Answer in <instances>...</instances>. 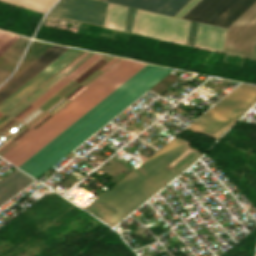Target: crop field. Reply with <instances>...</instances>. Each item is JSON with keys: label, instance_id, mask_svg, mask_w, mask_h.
<instances>
[{"label": "crop field", "instance_id": "crop-field-1", "mask_svg": "<svg viewBox=\"0 0 256 256\" xmlns=\"http://www.w3.org/2000/svg\"><path fill=\"white\" fill-rule=\"evenodd\" d=\"M171 71L147 64L18 168L37 179Z\"/></svg>", "mask_w": 256, "mask_h": 256}, {"label": "crop field", "instance_id": "crop-field-2", "mask_svg": "<svg viewBox=\"0 0 256 256\" xmlns=\"http://www.w3.org/2000/svg\"><path fill=\"white\" fill-rule=\"evenodd\" d=\"M190 145V142L173 138L135 171L129 174L121 182L115 185L107 193L99 199L92 202L84 210L99 218L110 226H113L123 217L129 214L137 206L170 182L178 174L193 164L200 156L196 155V159H191L181 168V171H173L166 166L179 156ZM191 147L185 150L177 157L168 167L174 166L182 158L193 151ZM115 226V225H114Z\"/></svg>", "mask_w": 256, "mask_h": 256}, {"label": "crop field", "instance_id": "crop-field-3", "mask_svg": "<svg viewBox=\"0 0 256 256\" xmlns=\"http://www.w3.org/2000/svg\"><path fill=\"white\" fill-rule=\"evenodd\" d=\"M144 65L124 59L2 157L18 167Z\"/></svg>", "mask_w": 256, "mask_h": 256}, {"label": "crop field", "instance_id": "crop-field-4", "mask_svg": "<svg viewBox=\"0 0 256 256\" xmlns=\"http://www.w3.org/2000/svg\"><path fill=\"white\" fill-rule=\"evenodd\" d=\"M88 56H90V54L88 53H84L82 54L79 58H77L74 62H72L69 66H67L64 70H62L63 73H67L69 72L71 69H73L75 66H77L80 62H82L84 59H86ZM99 57H97L96 55H92L90 56L86 61H84L81 65H79L76 69H74L70 74H68V76L70 77H74L76 76L78 73H80L83 69H85L87 66H89L92 62H94L96 59H98ZM101 59H99L98 61H100ZM98 61H96L93 65H95ZM119 61H121L120 59H116L113 58L112 60H110L108 63H106L103 67V69L105 70H109L111 69L114 65H116ZM103 62V60L101 61ZM101 62H99L97 65H95L92 69H90L93 65H91L88 69H90L88 72H86L88 69H86L82 74H85L83 76H81L82 74H80L77 78H75V80L77 79V81H79L80 79H82L85 75H87L91 70H93L96 66H98ZM105 62V61H104ZM103 62V63H104ZM102 64V63H101ZM100 64V65H101ZM99 65V66H100ZM97 68V67H96ZM95 68V69H96ZM94 69V70H95ZM61 72V73H62ZM91 73V72H90ZM106 72L102 71V70H98L96 71L92 76H90L86 81H84L82 84H84L85 86H89L91 85L94 81H96L98 78H100L103 74H105ZM86 77V76H85ZM86 79V78H85ZM68 81H70V79L68 78H63L61 81H59L58 83H56L55 85H53L50 89L53 91H57L59 90L62 86H64ZM82 82V81H81ZM77 85V83L71 81L68 85H66L61 91L58 92V94L60 95H64L66 94L68 91H70L73 87H75ZM86 88L82 87V86H78L76 87L73 91H71L67 96H65L64 98L68 99V100H72L73 98H75L78 94H80L83 90H85ZM51 95H53V93L51 92H47L45 93L42 97H40L36 102H34V104L36 105H40L42 104L45 100H47ZM60 97L54 95L53 97H51L48 101H46L43 105H41L40 107H42L43 109H47L49 108L52 104H54L57 100H59ZM68 102L64 99H62L61 101H59L56 105H54L50 110H48L51 113H56L59 109H61L64 105H66ZM35 108L34 105H30L28 106L25 110H23L19 115H17L16 117L19 118L20 120L22 118H24L26 115H28L30 112H32ZM44 111L40 110V109H36L34 110L31 114H29L25 119H23V121H25L26 123H30L31 121H33L35 118H37L40 114H42ZM50 116V114L48 113H44L42 114L39 118H37L33 123H31L30 125L34 126V127H38L40 124H42L45 120H47ZM13 117L9 116V115H5L4 117H2L0 119V127L2 125H4L6 122H8L10 119H12ZM19 120L17 119H13L11 120L8 124H6L2 129H0V131L2 132H6L7 130H9L15 123H17ZM22 122H20L19 124L16 125V127L18 125H20ZM26 125L23 124L22 126H20L19 128H23ZM34 129L31 127H27L25 128L22 132H20L16 137H14L13 139L20 141L21 139H23L26 135H28L31 131H33ZM17 132H19V130L15 131L14 133L16 134ZM16 143L14 141H9L7 144H5L3 147L0 148V155L4 154L7 150H9L11 147H13Z\"/></svg>", "mask_w": 256, "mask_h": 256}, {"label": "crop field", "instance_id": "crop-field-5", "mask_svg": "<svg viewBox=\"0 0 256 256\" xmlns=\"http://www.w3.org/2000/svg\"><path fill=\"white\" fill-rule=\"evenodd\" d=\"M256 102V87L241 84L189 128L219 138Z\"/></svg>", "mask_w": 256, "mask_h": 256}, {"label": "crop field", "instance_id": "crop-field-6", "mask_svg": "<svg viewBox=\"0 0 256 256\" xmlns=\"http://www.w3.org/2000/svg\"><path fill=\"white\" fill-rule=\"evenodd\" d=\"M256 0H202L183 18L228 28Z\"/></svg>", "mask_w": 256, "mask_h": 256}, {"label": "crop field", "instance_id": "crop-field-7", "mask_svg": "<svg viewBox=\"0 0 256 256\" xmlns=\"http://www.w3.org/2000/svg\"><path fill=\"white\" fill-rule=\"evenodd\" d=\"M189 24V21L137 10L133 32L185 44Z\"/></svg>", "mask_w": 256, "mask_h": 256}, {"label": "crop field", "instance_id": "crop-field-8", "mask_svg": "<svg viewBox=\"0 0 256 256\" xmlns=\"http://www.w3.org/2000/svg\"><path fill=\"white\" fill-rule=\"evenodd\" d=\"M256 38V2L229 28L225 53L251 58Z\"/></svg>", "mask_w": 256, "mask_h": 256}, {"label": "crop field", "instance_id": "crop-field-9", "mask_svg": "<svg viewBox=\"0 0 256 256\" xmlns=\"http://www.w3.org/2000/svg\"><path fill=\"white\" fill-rule=\"evenodd\" d=\"M106 6L91 0H60L47 17L59 16L103 26Z\"/></svg>", "mask_w": 256, "mask_h": 256}, {"label": "crop field", "instance_id": "crop-field-10", "mask_svg": "<svg viewBox=\"0 0 256 256\" xmlns=\"http://www.w3.org/2000/svg\"><path fill=\"white\" fill-rule=\"evenodd\" d=\"M82 50H77L70 48L64 54H62L59 58H57L54 62H52L49 66H47L44 70L38 73L35 77H33L30 81H28L25 85H23L20 89H18L15 93H13L10 97H8L5 101L0 104V112L5 113L14 105H16L19 101H21L24 97H26L29 93L35 90L38 86H40L43 82H45L48 78H50L53 74L59 71L62 67H64L67 63H69L72 59L78 56Z\"/></svg>", "mask_w": 256, "mask_h": 256}, {"label": "crop field", "instance_id": "crop-field-11", "mask_svg": "<svg viewBox=\"0 0 256 256\" xmlns=\"http://www.w3.org/2000/svg\"><path fill=\"white\" fill-rule=\"evenodd\" d=\"M67 49L69 48L54 45L39 58L33 61L30 65L24 68L21 72H19L16 76L10 79L5 85L0 88V102H2L5 98L11 95L29 79H31L48 64H50L53 60H55L62 53H64Z\"/></svg>", "mask_w": 256, "mask_h": 256}, {"label": "crop field", "instance_id": "crop-field-12", "mask_svg": "<svg viewBox=\"0 0 256 256\" xmlns=\"http://www.w3.org/2000/svg\"><path fill=\"white\" fill-rule=\"evenodd\" d=\"M190 0H124L121 4L174 16Z\"/></svg>", "mask_w": 256, "mask_h": 256}, {"label": "crop field", "instance_id": "crop-field-13", "mask_svg": "<svg viewBox=\"0 0 256 256\" xmlns=\"http://www.w3.org/2000/svg\"><path fill=\"white\" fill-rule=\"evenodd\" d=\"M226 32L225 29L199 23L194 46L222 52Z\"/></svg>", "mask_w": 256, "mask_h": 256}, {"label": "crop field", "instance_id": "crop-field-14", "mask_svg": "<svg viewBox=\"0 0 256 256\" xmlns=\"http://www.w3.org/2000/svg\"><path fill=\"white\" fill-rule=\"evenodd\" d=\"M33 181L34 179L18 169L0 181V205L5 203Z\"/></svg>", "mask_w": 256, "mask_h": 256}, {"label": "crop field", "instance_id": "crop-field-15", "mask_svg": "<svg viewBox=\"0 0 256 256\" xmlns=\"http://www.w3.org/2000/svg\"><path fill=\"white\" fill-rule=\"evenodd\" d=\"M127 10L126 7L108 4L104 26L123 31Z\"/></svg>", "mask_w": 256, "mask_h": 256}, {"label": "crop field", "instance_id": "crop-field-16", "mask_svg": "<svg viewBox=\"0 0 256 256\" xmlns=\"http://www.w3.org/2000/svg\"><path fill=\"white\" fill-rule=\"evenodd\" d=\"M28 9L45 13L56 0H3Z\"/></svg>", "mask_w": 256, "mask_h": 256}, {"label": "crop field", "instance_id": "crop-field-17", "mask_svg": "<svg viewBox=\"0 0 256 256\" xmlns=\"http://www.w3.org/2000/svg\"><path fill=\"white\" fill-rule=\"evenodd\" d=\"M27 38L21 37L18 41H16L9 49H7L4 53L16 58L20 59L27 43H28Z\"/></svg>", "mask_w": 256, "mask_h": 256}, {"label": "crop field", "instance_id": "crop-field-18", "mask_svg": "<svg viewBox=\"0 0 256 256\" xmlns=\"http://www.w3.org/2000/svg\"><path fill=\"white\" fill-rule=\"evenodd\" d=\"M19 38L20 36L9 34L0 30V55Z\"/></svg>", "mask_w": 256, "mask_h": 256}, {"label": "crop field", "instance_id": "crop-field-19", "mask_svg": "<svg viewBox=\"0 0 256 256\" xmlns=\"http://www.w3.org/2000/svg\"><path fill=\"white\" fill-rule=\"evenodd\" d=\"M135 12H136V10L129 8L124 31H131L132 32L133 24H134V18H135Z\"/></svg>", "mask_w": 256, "mask_h": 256}, {"label": "crop field", "instance_id": "crop-field-20", "mask_svg": "<svg viewBox=\"0 0 256 256\" xmlns=\"http://www.w3.org/2000/svg\"><path fill=\"white\" fill-rule=\"evenodd\" d=\"M197 25L198 23L191 22L190 28H189V33H188V38H187V44H190L193 46L194 44V39H195V34L197 30Z\"/></svg>", "mask_w": 256, "mask_h": 256}, {"label": "crop field", "instance_id": "crop-field-21", "mask_svg": "<svg viewBox=\"0 0 256 256\" xmlns=\"http://www.w3.org/2000/svg\"><path fill=\"white\" fill-rule=\"evenodd\" d=\"M200 0H191L183 9H181L175 16L182 18L189 12Z\"/></svg>", "mask_w": 256, "mask_h": 256}, {"label": "crop field", "instance_id": "crop-field-22", "mask_svg": "<svg viewBox=\"0 0 256 256\" xmlns=\"http://www.w3.org/2000/svg\"><path fill=\"white\" fill-rule=\"evenodd\" d=\"M198 153H199L198 151L194 150L188 156H186L183 160H181L179 163H177L174 167H172V169L177 171Z\"/></svg>", "mask_w": 256, "mask_h": 256}, {"label": "crop field", "instance_id": "crop-field-23", "mask_svg": "<svg viewBox=\"0 0 256 256\" xmlns=\"http://www.w3.org/2000/svg\"><path fill=\"white\" fill-rule=\"evenodd\" d=\"M8 76L9 74L0 70V83H2Z\"/></svg>", "mask_w": 256, "mask_h": 256}, {"label": "crop field", "instance_id": "crop-field-24", "mask_svg": "<svg viewBox=\"0 0 256 256\" xmlns=\"http://www.w3.org/2000/svg\"><path fill=\"white\" fill-rule=\"evenodd\" d=\"M107 2L115 3V4H120L123 0H106Z\"/></svg>", "mask_w": 256, "mask_h": 256}, {"label": "crop field", "instance_id": "crop-field-25", "mask_svg": "<svg viewBox=\"0 0 256 256\" xmlns=\"http://www.w3.org/2000/svg\"><path fill=\"white\" fill-rule=\"evenodd\" d=\"M252 58L256 59V42H255V47H254V52Z\"/></svg>", "mask_w": 256, "mask_h": 256}, {"label": "crop field", "instance_id": "crop-field-26", "mask_svg": "<svg viewBox=\"0 0 256 256\" xmlns=\"http://www.w3.org/2000/svg\"><path fill=\"white\" fill-rule=\"evenodd\" d=\"M103 1H105V0H103Z\"/></svg>", "mask_w": 256, "mask_h": 256}]
</instances>
